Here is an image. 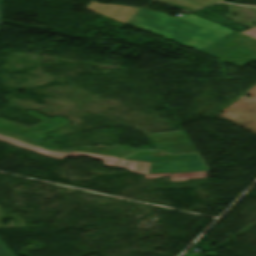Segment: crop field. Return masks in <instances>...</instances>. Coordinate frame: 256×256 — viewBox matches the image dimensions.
I'll use <instances>...</instances> for the list:
<instances>
[{"label": "crop field", "instance_id": "crop-field-1", "mask_svg": "<svg viewBox=\"0 0 256 256\" xmlns=\"http://www.w3.org/2000/svg\"><path fill=\"white\" fill-rule=\"evenodd\" d=\"M128 25L143 29L198 51L234 30L203 20L192 14L173 18L166 13L140 9Z\"/></svg>", "mask_w": 256, "mask_h": 256}, {"label": "crop field", "instance_id": "crop-field-2", "mask_svg": "<svg viewBox=\"0 0 256 256\" xmlns=\"http://www.w3.org/2000/svg\"><path fill=\"white\" fill-rule=\"evenodd\" d=\"M25 113L42 121L43 123L28 128L20 124L0 118V133L37 144L47 136L45 135L46 133L69 123L67 120L61 117L56 116L52 119H49L32 110Z\"/></svg>", "mask_w": 256, "mask_h": 256}, {"label": "crop field", "instance_id": "crop-field-3", "mask_svg": "<svg viewBox=\"0 0 256 256\" xmlns=\"http://www.w3.org/2000/svg\"><path fill=\"white\" fill-rule=\"evenodd\" d=\"M0 140L14 144L16 146H19V147H22L25 149L35 151V152L40 153L45 156L59 159V160H61L62 158L66 157V156L78 157L80 155H86L91 158L102 159L104 161V164H106V165L127 168L133 172L141 173V174L149 173V169L151 166V163L121 160L118 157L107 156V155L84 153V152L65 153V152H56V151L45 150V149L29 145L27 143L12 139L10 137H7V136L1 135V134H0Z\"/></svg>", "mask_w": 256, "mask_h": 256}, {"label": "crop field", "instance_id": "crop-field-4", "mask_svg": "<svg viewBox=\"0 0 256 256\" xmlns=\"http://www.w3.org/2000/svg\"><path fill=\"white\" fill-rule=\"evenodd\" d=\"M73 150L117 155L123 159H133V160H139V161H168V160L198 158L196 154L168 155L163 151H143V150H138V149H134V148L123 146V145H116L114 148H109L102 145H99L95 148L76 147V148H73Z\"/></svg>", "mask_w": 256, "mask_h": 256}, {"label": "crop field", "instance_id": "crop-field-5", "mask_svg": "<svg viewBox=\"0 0 256 256\" xmlns=\"http://www.w3.org/2000/svg\"><path fill=\"white\" fill-rule=\"evenodd\" d=\"M207 170L201 160H181L153 163L150 173Z\"/></svg>", "mask_w": 256, "mask_h": 256}, {"label": "crop field", "instance_id": "crop-field-6", "mask_svg": "<svg viewBox=\"0 0 256 256\" xmlns=\"http://www.w3.org/2000/svg\"><path fill=\"white\" fill-rule=\"evenodd\" d=\"M212 55L220 60L232 63L239 67L256 59V54L248 51L247 49L240 47L216 52L206 53ZM244 67V66H243Z\"/></svg>", "mask_w": 256, "mask_h": 256}, {"label": "crop field", "instance_id": "crop-field-7", "mask_svg": "<svg viewBox=\"0 0 256 256\" xmlns=\"http://www.w3.org/2000/svg\"><path fill=\"white\" fill-rule=\"evenodd\" d=\"M245 37H247V35L241 34V33L236 31L235 33H233V34L225 37L224 39L218 41L217 43L209 46L208 48H206L202 52L256 44V39L255 38H252V37L248 36L249 38L247 37L248 39H246ZM243 38H245L246 40H244V41H242L238 44H232V45L224 46L226 44L236 43V42H238L239 40H241Z\"/></svg>", "mask_w": 256, "mask_h": 256}, {"label": "crop field", "instance_id": "crop-field-8", "mask_svg": "<svg viewBox=\"0 0 256 256\" xmlns=\"http://www.w3.org/2000/svg\"><path fill=\"white\" fill-rule=\"evenodd\" d=\"M208 171L202 172H184V173H160L144 175L145 179L159 178L160 176H171L170 181H186L188 179L206 178Z\"/></svg>", "mask_w": 256, "mask_h": 256}, {"label": "crop field", "instance_id": "crop-field-9", "mask_svg": "<svg viewBox=\"0 0 256 256\" xmlns=\"http://www.w3.org/2000/svg\"><path fill=\"white\" fill-rule=\"evenodd\" d=\"M161 1L195 9L207 4H211L214 2H222L225 0H161Z\"/></svg>", "mask_w": 256, "mask_h": 256}, {"label": "crop field", "instance_id": "crop-field-10", "mask_svg": "<svg viewBox=\"0 0 256 256\" xmlns=\"http://www.w3.org/2000/svg\"><path fill=\"white\" fill-rule=\"evenodd\" d=\"M0 256H13L9 249L0 240Z\"/></svg>", "mask_w": 256, "mask_h": 256}, {"label": "crop field", "instance_id": "crop-field-11", "mask_svg": "<svg viewBox=\"0 0 256 256\" xmlns=\"http://www.w3.org/2000/svg\"><path fill=\"white\" fill-rule=\"evenodd\" d=\"M248 49L256 52V45H252V46H246Z\"/></svg>", "mask_w": 256, "mask_h": 256}, {"label": "crop field", "instance_id": "crop-field-12", "mask_svg": "<svg viewBox=\"0 0 256 256\" xmlns=\"http://www.w3.org/2000/svg\"><path fill=\"white\" fill-rule=\"evenodd\" d=\"M0 24H2V19H1V0H0Z\"/></svg>", "mask_w": 256, "mask_h": 256}, {"label": "crop field", "instance_id": "crop-field-13", "mask_svg": "<svg viewBox=\"0 0 256 256\" xmlns=\"http://www.w3.org/2000/svg\"><path fill=\"white\" fill-rule=\"evenodd\" d=\"M1 26V25H0Z\"/></svg>", "mask_w": 256, "mask_h": 256}]
</instances>
